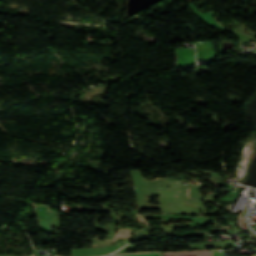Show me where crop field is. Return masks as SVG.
<instances>
[{"instance_id":"34b2d1b8","label":"crop field","mask_w":256,"mask_h":256,"mask_svg":"<svg viewBox=\"0 0 256 256\" xmlns=\"http://www.w3.org/2000/svg\"><path fill=\"white\" fill-rule=\"evenodd\" d=\"M145 218H157V219H170V220H190V217H181L176 215H168V214H162V215H142Z\"/></svg>"},{"instance_id":"8a807250","label":"crop field","mask_w":256,"mask_h":256,"mask_svg":"<svg viewBox=\"0 0 256 256\" xmlns=\"http://www.w3.org/2000/svg\"><path fill=\"white\" fill-rule=\"evenodd\" d=\"M162 256H212L210 250L202 251H178V252H161ZM160 252H135L127 254H116L111 256H161Z\"/></svg>"},{"instance_id":"ac0d7876","label":"crop field","mask_w":256,"mask_h":256,"mask_svg":"<svg viewBox=\"0 0 256 256\" xmlns=\"http://www.w3.org/2000/svg\"><path fill=\"white\" fill-rule=\"evenodd\" d=\"M192 10L194 11V13L198 16V18L203 21L205 24H207L209 27L211 28H221L225 31H228L230 33L235 34L234 31H230L228 29H224L223 27H221L215 20L214 16L211 14V12H207V13H200L198 12L197 7L194 5V3L190 4ZM236 35V34H235Z\"/></svg>"}]
</instances>
